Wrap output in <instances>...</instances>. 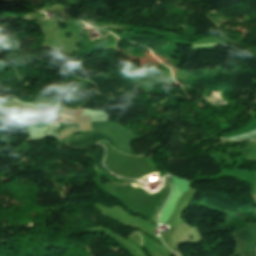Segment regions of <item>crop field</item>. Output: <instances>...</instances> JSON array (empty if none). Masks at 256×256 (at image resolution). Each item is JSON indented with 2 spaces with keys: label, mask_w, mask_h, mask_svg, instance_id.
<instances>
[{
  "label": "crop field",
  "mask_w": 256,
  "mask_h": 256,
  "mask_svg": "<svg viewBox=\"0 0 256 256\" xmlns=\"http://www.w3.org/2000/svg\"><path fill=\"white\" fill-rule=\"evenodd\" d=\"M233 236L237 242L235 254L256 256L255 240L246 229L234 233Z\"/></svg>",
  "instance_id": "1"
},
{
  "label": "crop field",
  "mask_w": 256,
  "mask_h": 256,
  "mask_svg": "<svg viewBox=\"0 0 256 256\" xmlns=\"http://www.w3.org/2000/svg\"><path fill=\"white\" fill-rule=\"evenodd\" d=\"M231 140H256V130L238 136L226 137Z\"/></svg>",
  "instance_id": "2"
},
{
  "label": "crop field",
  "mask_w": 256,
  "mask_h": 256,
  "mask_svg": "<svg viewBox=\"0 0 256 256\" xmlns=\"http://www.w3.org/2000/svg\"><path fill=\"white\" fill-rule=\"evenodd\" d=\"M61 115H63V114H61ZM64 117H72V116H67V115H63Z\"/></svg>",
  "instance_id": "3"
},
{
  "label": "crop field",
  "mask_w": 256,
  "mask_h": 256,
  "mask_svg": "<svg viewBox=\"0 0 256 256\" xmlns=\"http://www.w3.org/2000/svg\"><path fill=\"white\" fill-rule=\"evenodd\" d=\"M159 193V192H158Z\"/></svg>",
  "instance_id": "4"
}]
</instances>
